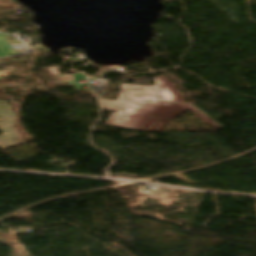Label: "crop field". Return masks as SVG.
<instances>
[{
	"label": "crop field",
	"instance_id": "crop-field-1",
	"mask_svg": "<svg viewBox=\"0 0 256 256\" xmlns=\"http://www.w3.org/2000/svg\"><path fill=\"white\" fill-rule=\"evenodd\" d=\"M154 80L153 86L120 84L121 93L117 95V101L99 99L101 109L116 111L110 113L105 123L126 129L147 130L152 123L151 120H148L143 129L141 127L149 115L174 119L185 111L178 104L157 102L158 100L175 102L183 100L181 93L164 75L156 76ZM182 105L215 130L221 128L188 102Z\"/></svg>",
	"mask_w": 256,
	"mask_h": 256
},
{
	"label": "crop field",
	"instance_id": "crop-field-2",
	"mask_svg": "<svg viewBox=\"0 0 256 256\" xmlns=\"http://www.w3.org/2000/svg\"><path fill=\"white\" fill-rule=\"evenodd\" d=\"M149 119L154 120L151 126L148 128V130H152V131H159V129L162 127V125L165 122V119L152 117V116H150Z\"/></svg>",
	"mask_w": 256,
	"mask_h": 256
}]
</instances>
